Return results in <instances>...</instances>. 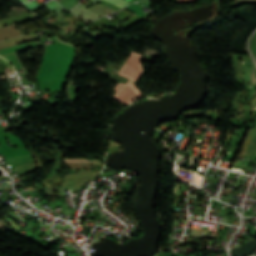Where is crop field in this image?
<instances>
[{
  "label": "crop field",
  "instance_id": "e52e79f7",
  "mask_svg": "<svg viewBox=\"0 0 256 256\" xmlns=\"http://www.w3.org/2000/svg\"><path fill=\"white\" fill-rule=\"evenodd\" d=\"M237 2H256V0H237Z\"/></svg>",
  "mask_w": 256,
  "mask_h": 256
},
{
  "label": "crop field",
  "instance_id": "ac0d7876",
  "mask_svg": "<svg viewBox=\"0 0 256 256\" xmlns=\"http://www.w3.org/2000/svg\"><path fill=\"white\" fill-rule=\"evenodd\" d=\"M144 56L132 53V55L129 57L125 65L123 66L122 70L120 71V74L125 75L133 80H136L138 77H140L143 73V69L140 65V62Z\"/></svg>",
  "mask_w": 256,
  "mask_h": 256
},
{
  "label": "crop field",
  "instance_id": "d8731c3e",
  "mask_svg": "<svg viewBox=\"0 0 256 256\" xmlns=\"http://www.w3.org/2000/svg\"><path fill=\"white\" fill-rule=\"evenodd\" d=\"M255 57V59H256V56H254Z\"/></svg>",
  "mask_w": 256,
  "mask_h": 256
},
{
  "label": "crop field",
  "instance_id": "34b2d1b8",
  "mask_svg": "<svg viewBox=\"0 0 256 256\" xmlns=\"http://www.w3.org/2000/svg\"><path fill=\"white\" fill-rule=\"evenodd\" d=\"M250 65H251V76H252V82L251 84H256V66L251 58L250 61Z\"/></svg>",
  "mask_w": 256,
  "mask_h": 256
},
{
  "label": "crop field",
  "instance_id": "dd49c442",
  "mask_svg": "<svg viewBox=\"0 0 256 256\" xmlns=\"http://www.w3.org/2000/svg\"><path fill=\"white\" fill-rule=\"evenodd\" d=\"M197 0H176L177 3H194Z\"/></svg>",
  "mask_w": 256,
  "mask_h": 256
},
{
  "label": "crop field",
  "instance_id": "f4fd0767",
  "mask_svg": "<svg viewBox=\"0 0 256 256\" xmlns=\"http://www.w3.org/2000/svg\"><path fill=\"white\" fill-rule=\"evenodd\" d=\"M1 61L5 62L7 65H9V67L6 70V73H11L14 72L13 68L11 67V65L9 63H7L5 60H3L2 58H0Z\"/></svg>",
  "mask_w": 256,
  "mask_h": 256
},
{
  "label": "crop field",
  "instance_id": "8a807250",
  "mask_svg": "<svg viewBox=\"0 0 256 256\" xmlns=\"http://www.w3.org/2000/svg\"><path fill=\"white\" fill-rule=\"evenodd\" d=\"M115 90L117 92L112 99L122 104H128L140 97V91L132 83L126 85L119 83Z\"/></svg>",
  "mask_w": 256,
  "mask_h": 256
},
{
  "label": "crop field",
  "instance_id": "412701ff",
  "mask_svg": "<svg viewBox=\"0 0 256 256\" xmlns=\"http://www.w3.org/2000/svg\"><path fill=\"white\" fill-rule=\"evenodd\" d=\"M106 1H108V2L118 6L120 8H122V7H124V6L129 4V2H127L125 0H106Z\"/></svg>",
  "mask_w": 256,
  "mask_h": 256
}]
</instances>
